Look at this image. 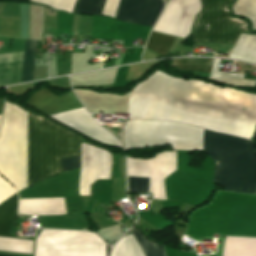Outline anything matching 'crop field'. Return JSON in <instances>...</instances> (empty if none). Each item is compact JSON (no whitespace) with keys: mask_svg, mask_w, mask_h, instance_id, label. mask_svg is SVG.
<instances>
[{"mask_svg":"<svg viewBox=\"0 0 256 256\" xmlns=\"http://www.w3.org/2000/svg\"><path fill=\"white\" fill-rule=\"evenodd\" d=\"M220 60L214 59L211 76L213 80L238 86H254L256 81L243 80V75L218 72Z\"/></svg>","mask_w":256,"mask_h":256,"instance_id":"10","label":"crop field"},{"mask_svg":"<svg viewBox=\"0 0 256 256\" xmlns=\"http://www.w3.org/2000/svg\"><path fill=\"white\" fill-rule=\"evenodd\" d=\"M125 148L172 144L173 150H202L200 128L182 124L129 119L124 126ZM203 151L214 161V182L224 190L255 194L256 149L245 139L203 132Z\"/></svg>","mask_w":256,"mask_h":256,"instance_id":"3","label":"crop field"},{"mask_svg":"<svg viewBox=\"0 0 256 256\" xmlns=\"http://www.w3.org/2000/svg\"><path fill=\"white\" fill-rule=\"evenodd\" d=\"M80 137L27 112V187L62 172L58 158L79 155ZM0 173L26 188V112L6 103L0 133Z\"/></svg>","mask_w":256,"mask_h":256,"instance_id":"2","label":"crop field"},{"mask_svg":"<svg viewBox=\"0 0 256 256\" xmlns=\"http://www.w3.org/2000/svg\"><path fill=\"white\" fill-rule=\"evenodd\" d=\"M79 158H80V156L63 158V159H59V160L61 162L63 170L65 171V170L79 167Z\"/></svg>","mask_w":256,"mask_h":256,"instance_id":"23","label":"crop field"},{"mask_svg":"<svg viewBox=\"0 0 256 256\" xmlns=\"http://www.w3.org/2000/svg\"><path fill=\"white\" fill-rule=\"evenodd\" d=\"M23 52L11 53L9 84L20 82ZM10 53L0 54V85L8 84Z\"/></svg>","mask_w":256,"mask_h":256,"instance_id":"7","label":"crop field"},{"mask_svg":"<svg viewBox=\"0 0 256 256\" xmlns=\"http://www.w3.org/2000/svg\"><path fill=\"white\" fill-rule=\"evenodd\" d=\"M170 77L156 71L129 95L130 118L163 120ZM224 87L171 78L164 120L216 131ZM256 130V95L225 90L218 132L245 138Z\"/></svg>","mask_w":256,"mask_h":256,"instance_id":"1","label":"crop field"},{"mask_svg":"<svg viewBox=\"0 0 256 256\" xmlns=\"http://www.w3.org/2000/svg\"><path fill=\"white\" fill-rule=\"evenodd\" d=\"M36 40H26L21 82L32 80Z\"/></svg>","mask_w":256,"mask_h":256,"instance_id":"14","label":"crop field"},{"mask_svg":"<svg viewBox=\"0 0 256 256\" xmlns=\"http://www.w3.org/2000/svg\"><path fill=\"white\" fill-rule=\"evenodd\" d=\"M72 13L76 0H31Z\"/></svg>","mask_w":256,"mask_h":256,"instance_id":"19","label":"crop field"},{"mask_svg":"<svg viewBox=\"0 0 256 256\" xmlns=\"http://www.w3.org/2000/svg\"><path fill=\"white\" fill-rule=\"evenodd\" d=\"M16 210V194L0 205V235L8 236L10 223Z\"/></svg>","mask_w":256,"mask_h":256,"instance_id":"11","label":"crop field"},{"mask_svg":"<svg viewBox=\"0 0 256 256\" xmlns=\"http://www.w3.org/2000/svg\"><path fill=\"white\" fill-rule=\"evenodd\" d=\"M16 193L15 189L0 176V203Z\"/></svg>","mask_w":256,"mask_h":256,"instance_id":"22","label":"crop field"},{"mask_svg":"<svg viewBox=\"0 0 256 256\" xmlns=\"http://www.w3.org/2000/svg\"><path fill=\"white\" fill-rule=\"evenodd\" d=\"M105 0H77L73 13L100 15ZM162 0H120L115 19L144 26H153Z\"/></svg>","mask_w":256,"mask_h":256,"instance_id":"5","label":"crop field"},{"mask_svg":"<svg viewBox=\"0 0 256 256\" xmlns=\"http://www.w3.org/2000/svg\"><path fill=\"white\" fill-rule=\"evenodd\" d=\"M111 256H144L140 247L138 246L132 235L120 239L114 249Z\"/></svg>","mask_w":256,"mask_h":256,"instance_id":"12","label":"crop field"},{"mask_svg":"<svg viewBox=\"0 0 256 256\" xmlns=\"http://www.w3.org/2000/svg\"><path fill=\"white\" fill-rule=\"evenodd\" d=\"M51 92V91H50ZM47 89H41L38 92L34 93L27 104L40 109L55 98L52 93H50Z\"/></svg>","mask_w":256,"mask_h":256,"instance_id":"18","label":"crop field"},{"mask_svg":"<svg viewBox=\"0 0 256 256\" xmlns=\"http://www.w3.org/2000/svg\"><path fill=\"white\" fill-rule=\"evenodd\" d=\"M52 117L91 137L120 146L118 141L95 122L84 108L52 115Z\"/></svg>","mask_w":256,"mask_h":256,"instance_id":"6","label":"crop field"},{"mask_svg":"<svg viewBox=\"0 0 256 256\" xmlns=\"http://www.w3.org/2000/svg\"><path fill=\"white\" fill-rule=\"evenodd\" d=\"M213 59H180L174 60L172 66L179 70L210 73Z\"/></svg>","mask_w":256,"mask_h":256,"instance_id":"13","label":"crop field"},{"mask_svg":"<svg viewBox=\"0 0 256 256\" xmlns=\"http://www.w3.org/2000/svg\"><path fill=\"white\" fill-rule=\"evenodd\" d=\"M174 38L151 32L146 48L160 54L166 55Z\"/></svg>","mask_w":256,"mask_h":256,"instance_id":"15","label":"crop field"},{"mask_svg":"<svg viewBox=\"0 0 256 256\" xmlns=\"http://www.w3.org/2000/svg\"><path fill=\"white\" fill-rule=\"evenodd\" d=\"M0 17L19 18V4L0 3Z\"/></svg>","mask_w":256,"mask_h":256,"instance_id":"21","label":"crop field"},{"mask_svg":"<svg viewBox=\"0 0 256 256\" xmlns=\"http://www.w3.org/2000/svg\"><path fill=\"white\" fill-rule=\"evenodd\" d=\"M0 117H1V115H0Z\"/></svg>","mask_w":256,"mask_h":256,"instance_id":"24","label":"crop field"},{"mask_svg":"<svg viewBox=\"0 0 256 256\" xmlns=\"http://www.w3.org/2000/svg\"><path fill=\"white\" fill-rule=\"evenodd\" d=\"M228 58L240 59L256 64V35H240Z\"/></svg>","mask_w":256,"mask_h":256,"instance_id":"8","label":"crop field"},{"mask_svg":"<svg viewBox=\"0 0 256 256\" xmlns=\"http://www.w3.org/2000/svg\"><path fill=\"white\" fill-rule=\"evenodd\" d=\"M81 107L82 105L75 98V96L69 93L48 104L40 111H43L48 115H51Z\"/></svg>","mask_w":256,"mask_h":256,"instance_id":"9","label":"crop field"},{"mask_svg":"<svg viewBox=\"0 0 256 256\" xmlns=\"http://www.w3.org/2000/svg\"><path fill=\"white\" fill-rule=\"evenodd\" d=\"M231 1L201 0L203 9L192 28L194 42L234 43L241 32L247 31L245 21L229 18Z\"/></svg>","mask_w":256,"mask_h":256,"instance_id":"4","label":"crop field"},{"mask_svg":"<svg viewBox=\"0 0 256 256\" xmlns=\"http://www.w3.org/2000/svg\"><path fill=\"white\" fill-rule=\"evenodd\" d=\"M130 232L140 244L145 256H165L162 245L147 242L143 236L134 229Z\"/></svg>","mask_w":256,"mask_h":256,"instance_id":"17","label":"crop field"},{"mask_svg":"<svg viewBox=\"0 0 256 256\" xmlns=\"http://www.w3.org/2000/svg\"><path fill=\"white\" fill-rule=\"evenodd\" d=\"M130 192L147 193L148 178L129 177Z\"/></svg>","mask_w":256,"mask_h":256,"instance_id":"20","label":"crop field"},{"mask_svg":"<svg viewBox=\"0 0 256 256\" xmlns=\"http://www.w3.org/2000/svg\"><path fill=\"white\" fill-rule=\"evenodd\" d=\"M233 13L247 16L256 29V0H237L233 5Z\"/></svg>","mask_w":256,"mask_h":256,"instance_id":"16","label":"crop field"}]
</instances>
